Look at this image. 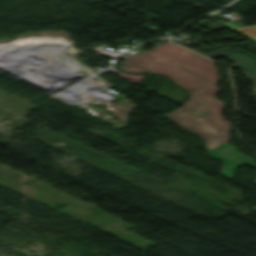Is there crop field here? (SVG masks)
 I'll return each mask as SVG.
<instances>
[{"instance_id":"obj_2","label":"crop field","mask_w":256,"mask_h":256,"mask_svg":"<svg viewBox=\"0 0 256 256\" xmlns=\"http://www.w3.org/2000/svg\"><path fill=\"white\" fill-rule=\"evenodd\" d=\"M166 117L181 127L203 136L209 150L228 141L230 126L185 106Z\"/></svg>"},{"instance_id":"obj_1","label":"crop field","mask_w":256,"mask_h":256,"mask_svg":"<svg viewBox=\"0 0 256 256\" xmlns=\"http://www.w3.org/2000/svg\"><path fill=\"white\" fill-rule=\"evenodd\" d=\"M151 44L155 46L151 51L133 57L125 53L120 55L126 59L120 63L123 65L120 70L166 75L191 94L185 106L232 126L222 118L224 102L215 97L219 79L214 62L171 42L161 46Z\"/></svg>"},{"instance_id":"obj_5","label":"crop field","mask_w":256,"mask_h":256,"mask_svg":"<svg viewBox=\"0 0 256 256\" xmlns=\"http://www.w3.org/2000/svg\"><path fill=\"white\" fill-rule=\"evenodd\" d=\"M234 30L241 34H244L252 39L256 38V25L239 28V29H234Z\"/></svg>"},{"instance_id":"obj_4","label":"crop field","mask_w":256,"mask_h":256,"mask_svg":"<svg viewBox=\"0 0 256 256\" xmlns=\"http://www.w3.org/2000/svg\"><path fill=\"white\" fill-rule=\"evenodd\" d=\"M210 58L224 56L234 61L236 64L232 68L238 67L244 71V75L254 82L255 88L253 89V96L256 97V60L251 59L243 54H240L228 47L212 50L204 54Z\"/></svg>"},{"instance_id":"obj_3","label":"crop field","mask_w":256,"mask_h":256,"mask_svg":"<svg viewBox=\"0 0 256 256\" xmlns=\"http://www.w3.org/2000/svg\"><path fill=\"white\" fill-rule=\"evenodd\" d=\"M209 154L213 158H218L223 162L224 166L219 175L229 180L238 165L245 164L256 168L254 159L234 150L233 146L227 143L210 150Z\"/></svg>"},{"instance_id":"obj_6","label":"crop field","mask_w":256,"mask_h":256,"mask_svg":"<svg viewBox=\"0 0 256 256\" xmlns=\"http://www.w3.org/2000/svg\"><path fill=\"white\" fill-rule=\"evenodd\" d=\"M253 208H255V209H256V206H254Z\"/></svg>"}]
</instances>
